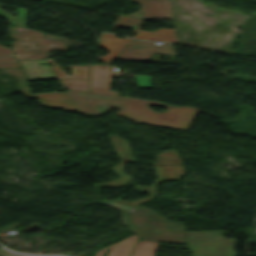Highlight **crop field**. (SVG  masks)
Here are the masks:
<instances>
[{"label": "crop field", "instance_id": "obj_1", "mask_svg": "<svg viewBox=\"0 0 256 256\" xmlns=\"http://www.w3.org/2000/svg\"><path fill=\"white\" fill-rule=\"evenodd\" d=\"M82 114L100 116L110 107H120L118 116L128 118L136 123L188 131L199 109L191 107H173L153 101L126 98L114 95L68 91ZM124 100L121 107V101ZM149 105L168 108L167 112L155 113Z\"/></svg>", "mask_w": 256, "mask_h": 256}, {"label": "crop field", "instance_id": "obj_2", "mask_svg": "<svg viewBox=\"0 0 256 256\" xmlns=\"http://www.w3.org/2000/svg\"><path fill=\"white\" fill-rule=\"evenodd\" d=\"M123 226L142 239L186 244V230L183 223L170 222L142 206L123 213Z\"/></svg>", "mask_w": 256, "mask_h": 256}, {"label": "crop field", "instance_id": "obj_3", "mask_svg": "<svg viewBox=\"0 0 256 256\" xmlns=\"http://www.w3.org/2000/svg\"><path fill=\"white\" fill-rule=\"evenodd\" d=\"M8 28L11 38L16 40L11 44L17 59L46 58V52L51 50H67L63 41L49 40L41 32L26 29L25 33L19 34L15 28Z\"/></svg>", "mask_w": 256, "mask_h": 256}, {"label": "crop field", "instance_id": "obj_4", "mask_svg": "<svg viewBox=\"0 0 256 256\" xmlns=\"http://www.w3.org/2000/svg\"><path fill=\"white\" fill-rule=\"evenodd\" d=\"M236 239H224V231L187 232V246L195 256H236Z\"/></svg>", "mask_w": 256, "mask_h": 256}, {"label": "crop field", "instance_id": "obj_5", "mask_svg": "<svg viewBox=\"0 0 256 256\" xmlns=\"http://www.w3.org/2000/svg\"><path fill=\"white\" fill-rule=\"evenodd\" d=\"M156 157H157L158 162L154 165L156 167L158 177H157L156 181L154 182L153 186L146 188L139 184L135 185L139 192H142V191L148 192L150 195L149 197L143 198L140 200H136L133 202H129V203L121 200L123 198L122 197L119 200H115V201L105 200V201L101 202L100 204L110 206L116 202H119V203L127 204V205L134 207V206L139 205L140 203L145 202V201L151 199L152 197H154L156 195L155 187L160 181L179 180V178L181 176H183L182 165H177V164L181 163V161H180L179 156L176 151H168L164 154L156 155Z\"/></svg>", "mask_w": 256, "mask_h": 256}, {"label": "crop field", "instance_id": "obj_6", "mask_svg": "<svg viewBox=\"0 0 256 256\" xmlns=\"http://www.w3.org/2000/svg\"><path fill=\"white\" fill-rule=\"evenodd\" d=\"M3 71L14 75L18 80H20V90L28 98H38L42 107L48 109H63L65 111L77 113L78 110L73 105L69 96L66 92L60 93H45V94H37V96H33L28 89V83L25 79L24 74L22 73L20 68H11V69H3Z\"/></svg>", "mask_w": 256, "mask_h": 256}, {"label": "crop field", "instance_id": "obj_7", "mask_svg": "<svg viewBox=\"0 0 256 256\" xmlns=\"http://www.w3.org/2000/svg\"><path fill=\"white\" fill-rule=\"evenodd\" d=\"M152 53L176 56L172 44L134 40L117 58L147 62Z\"/></svg>", "mask_w": 256, "mask_h": 256}, {"label": "crop field", "instance_id": "obj_8", "mask_svg": "<svg viewBox=\"0 0 256 256\" xmlns=\"http://www.w3.org/2000/svg\"><path fill=\"white\" fill-rule=\"evenodd\" d=\"M143 22L144 21L142 20L119 16L112 30H114L116 27L131 28L133 32L136 33L134 38L160 40V41L177 43L175 30H172V29L164 30L166 28H161L155 31V33L139 31ZM126 37L133 38L130 36H126Z\"/></svg>", "mask_w": 256, "mask_h": 256}, {"label": "crop field", "instance_id": "obj_9", "mask_svg": "<svg viewBox=\"0 0 256 256\" xmlns=\"http://www.w3.org/2000/svg\"><path fill=\"white\" fill-rule=\"evenodd\" d=\"M142 5L140 11L121 15L137 19H173L170 3L164 0H134Z\"/></svg>", "mask_w": 256, "mask_h": 256}, {"label": "crop field", "instance_id": "obj_10", "mask_svg": "<svg viewBox=\"0 0 256 256\" xmlns=\"http://www.w3.org/2000/svg\"><path fill=\"white\" fill-rule=\"evenodd\" d=\"M114 147H115V151L117 153V155L121 158H124L121 163L117 166H114V170L115 172L120 176L119 179L110 181L108 183H103V184H95L96 188H100V187H118V186H122V185H126L129 181H131V178L127 175H125L122 170H123V163L125 161H130V162H135L132 154L129 150V145L127 143V141L116 137V136H109ZM126 163V162H125ZM112 168V169H113Z\"/></svg>", "mask_w": 256, "mask_h": 256}, {"label": "crop field", "instance_id": "obj_11", "mask_svg": "<svg viewBox=\"0 0 256 256\" xmlns=\"http://www.w3.org/2000/svg\"><path fill=\"white\" fill-rule=\"evenodd\" d=\"M47 61L51 63L52 69L56 76L62 83L63 87L68 89H78L88 91V67L84 66H69L73 71V76H66L63 71L53 62L51 59L47 58Z\"/></svg>", "mask_w": 256, "mask_h": 256}, {"label": "crop field", "instance_id": "obj_12", "mask_svg": "<svg viewBox=\"0 0 256 256\" xmlns=\"http://www.w3.org/2000/svg\"><path fill=\"white\" fill-rule=\"evenodd\" d=\"M113 76L108 66L90 65V92L119 95V92L108 91Z\"/></svg>", "mask_w": 256, "mask_h": 256}, {"label": "crop field", "instance_id": "obj_13", "mask_svg": "<svg viewBox=\"0 0 256 256\" xmlns=\"http://www.w3.org/2000/svg\"><path fill=\"white\" fill-rule=\"evenodd\" d=\"M29 80L57 79L45 59L18 60ZM46 62L41 66L39 63Z\"/></svg>", "mask_w": 256, "mask_h": 256}, {"label": "crop field", "instance_id": "obj_14", "mask_svg": "<svg viewBox=\"0 0 256 256\" xmlns=\"http://www.w3.org/2000/svg\"><path fill=\"white\" fill-rule=\"evenodd\" d=\"M101 41L99 42L100 47L105 48L110 53L105 57H100L102 61L110 63L117 54L132 40L116 38L113 34L101 33Z\"/></svg>", "mask_w": 256, "mask_h": 256}, {"label": "crop field", "instance_id": "obj_15", "mask_svg": "<svg viewBox=\"0 0 256 256\" xmlns=\"http://www.w3.org/2000/svg\"><path fill=\"white\" fill-rule=\"evenodd\" d=\"M137 239V236H130L104 250L111 248L108 256H129ZM104 250L97 252L96 256H103Z\"/></svg>", "mask_w": 256, "mask_h": 256}, {"label": "crop field", "instance_id": "obj_16", "mask_svg": "<svg viewBox=\"0 0 256 256\" xmlns=\"http://www.w3.org/2000/svg\"><path fill=\"white\" fill-rule=\"evenodd\" d=\"M0 7H7V6L0 4ZM7 8H14L18 12L17 18L7 14L2 10H0V16L6 19L10 24H14V25L26 28L27 9L17 8V7H7Z\"/></svg>", "mask_w": 256, "mask_h": 256}, {"label": "crop field", "instance_id": "obj_17", "mask_svg": "<svg viewBox=\"0 0 256 256\" xmlns=\"http://www.w3.org/2000/svg\"><path fill=\"white\" fill-rule=\"evenodd\" d=\"M158 243L138 241L131 256H153Z\"/></svg>", "mask_w": 256, "mask_h": 256}, {"label": "crop field", "instance_id": "obj_18", "mask_svg": "<svg viewBox=\"0 0 256 256\" xmlns=\"http://www.w3.org/2000/svg\"><path fill=\"white\" fill-rule=\"evenodd\" d=\"M0 67H19L14 56L0 58Z\"/></svg>", "mask_w": 256, "mask_h": 256}, {"label": "crop field", "instance_id": "obj_19", "mask_svg": "<svg viewBox=\"0 0 256 256\" xmlns=\"http://www.w3.org/2000/svg\"><path fill=\"white\" fill-rule=\"evenodd\" d=\"M13 54L12 49L0 45V56Z\"/></svg>", "mask_w": 256, "mask_h": 256}, {"label": "crop field", "instance_id": "obj_20", "mask_svg": "<svg viewBox=\"0 0 256 256\" xmlns=\"http://www.w3.org/2000/svg\"><path fill=\"white\" fill-rule=\"evenodd\" d=\"M111 207H114V208H116L120 211H126V210L132 208V207H129L127 205H123V204H119V203H116V204L112 205Z\"/></svg>", "mask_w": 256, "mask_h": 256}]
</instances>
